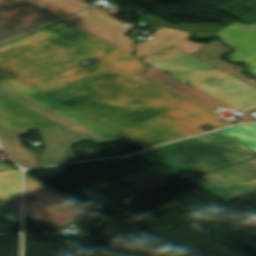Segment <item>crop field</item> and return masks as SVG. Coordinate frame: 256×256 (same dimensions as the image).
Here are the masks:
<instances>
[{"mask_svg":"<svg viewBox=\"0 0 256 256\" xmlns=\"http://www.w3.org/2000/svg\"><path fill=\"white\" fill-rule=\"evenodd\" d=\"M148 65L62 20L0 44L1 72L144 148L228 125L140 76Z\"/></svg>","mask_w":256,"mask_h":256,"instance_id":"crop-field-1","label":"crop field"},{"mask_svg":"<svg viewBox=\"0 0 256 256\" xmlns=\"http://www.w3.org/2000/svg\"><path fill=\"white\" fill-rule=\"evenodd\" d=\"M138 155L151 163L160 161L174 168L171 173L229 203L237 198L195 175L254 157V152L217 131Z\"/></svg>","mask_w":256,"mask_h":256,"instance_id":"crop-field-2","label":"crop field"},{"mask_svg":"<svg viewBox=\"0 0 256 256\" xmlns=\"http://www.w3.org/2000/svg\"><path fill=\"white\" fill-rule=\"evenodd\" d=\"M193 87L246 113L256 108V89L174 47L143 59Z\"/></svg>","mask_w":256,"mask_h":256,"instance_id":"crop-field-3","label":"crop field"},{"mask_svg":"<svg viewBox=\"0 0 256 256\" xmlns=\"http://www.w3.org/2000/svg\"><path fill=\"white\" fill-rule=\"evenodd\" d=\"M29 197L33 198L27 200ZM68 197V196H67ZM26 176L25 215L59 230L87 212L88 208Z\"/></svg>","mask_w":256,"mask_h":256,"instance_id":"crop-field-4","label":"crop field"},{"mask_svg":"<svg viewBox=\"0 0 256 256\" xmlns=\"http://www.w3.org/2000/svg\"><path fill=\"white\" fill-rule=\"evenodd\" d=\"M129 53H134L132 49L135 40L126 35L133 30L124 23L95 9L90 8L71 17L63 19Z\"/></svg>","mask_w":256,"mask_h":256,"instance_id":"crop-field-5","label":"crop field"},{"mask_svg":"<svg viewBox=\"0 0 256 256\" xmlns=\"http://www.w3.org/2000/svg\"><path fill=\"white\" fill-rule=\"evenodd\" d=\"M56 19L24 0H0V41Z\"/></svg>","mask_w":256,"mask_h":256,"instance_id":"crop-field-6","label":"crop field"},{"mask_svg":"<svg viewBox=\"0 0 256 256\" xmlns=\"http://www.w3.org/2000/svg\"><path fill=\"white\" fill-rule=\"evenodd\" d=\"M199 177L240 197L256 191V158Z\"/></svg>","mask_w":256,"mask_h":256,"instance_id":"crop-field-7","label":"crop field"},{"mask_svg":"<svg viewBox=\"0 0 256 256\" xmlns=\"http://www.w3.org/2000/svg\"><path fill=\"white\" fill-rule=\"evenodd\" d=\"M0 82L19 91L20 93L32 98L33 100L45 105L46 107L60 113L61 115L73 120L74 122L86 127L87 129L99 134L100 136L116 142L126 139L125 137L109 130L108 128L90 120L89 118L71 110L70 108L50 99L49 97L31 89L30 87L12 79L11 77L0 72Z\"/></svg>","mask_w":256,"mask_h":256,"instance_id":"crop-field-8","label":"crop field"},{"mask_svg":"<svg viewBox=\"0 0 256 256\" xmlns=\"http://www.w3.org/2000/svg\"><path fill=\"white\" fill-rule=\"evenodd\" d=\"M253 27L232 23L216 36L236 50L233 55L229 56L230 59L234 62H245L249 71L256 76V27Z\"/></svg>","mask_w":256,"mask_h":256,"instance_id":"crop-field-9","label":"crop field"},{"mask_svg":"<svg viewBox=\"0 0 256 256\" xmlns=\"http://www.w3.org/2000/svg\"><path fill=\"white\" fill-rule=\"evenodd\" d=\"M190 34L188 32L162 27L152 34L156 37L135 45V49L138 52L135 56L143 59L172 46L192 55L205 44L187 40L191 37Z\"/></svg>","mask_w":256,"mask_h":256,"instance_id":"crop-field-10","label":"crop field"},{"mask_svg":"<svg viewBox=\"0 0 256 256\" xmlns=\"http://www.w3.org/2000/svg\"><path fill=\"white\" fill-rule=\"evenodd\" d=\"M59 125L0 94V130Z\"/></svg>","mask_w":256,"mask_h":256,"instance_id":"crop-field-11","label":"crop field"},{"mask_svg":"<svg viewBox=\"0 0 256 256\" xmlns=\"http://www.w3.org/2000/svg\"><path fill=\"white\" fill-rule=\"evenodd\" d=\"M148 76L164 86L170 88L171 90L213 110L216 112L215 108L223 107L225 109L230 108L229 106L223 104L222 102L208 96L207 94L193 88L192 86L150 66L147 71L143 74Z\"/></svg>","mask_w":256,"mask_h":256,"instance_id":"crop-field-12","label":"crop field"},{"mask_svg":"<svg viewBox=\"0 0 256 256\" xmlns=\"http://www.w3.org/2000/svg\"><path fill=\"white\" fill-rule=\"evenodd\" d=\"M21 172L0 175V215L20 223Z\"/></svg>","mask_w":256,"mask_h":256,"instance_id":"crop-field-13","label":"crop field"},{"mask_svg":"<svg viewBox=\"0 0 256 256\" xmlns=\"http://www.w3.org/2000/svg\"><path fill=\"white\" fill-rule=\"evenodd\" d=\"M59 17L91 6L82 0H27ZM67 16V15H66Z\"/></svg>","mask_w":256,"mask_h":256,"instance_id":"crop-field-14","label":"crop field"},{"mask_svg":"<svg viewBox=\"0 0 256 256\" xmlns=\"http://www.w3.org/2000/svg\"><path fill=\"white\" fill-rule=\"evenodd\" d=\"M220 54V52L206 45L203 49H201L192 56L201 59L224 71L225 73L245 82L246 79L240 74V72L243 71L242 68L222 62L218 58Z\"/></svg>","mask_w":256,"mask_h":256,"instance_id":"crop-field-15","label":"crop field"},{"mask_svg":"<svg viewBox=\"0 0 256 256\" xmlns=\"http://www.w3.org/2000/svg\"><path fill=\"white\" fill-rule=\"evenodd\" d=\"M149 21L157 24H164L171 27L183 28L188 31H195V39H201L206 37H212L220 30H222L225 25H217V24H183V25H174L167 21L161 20L152 15H144Z\"/></svg>","mask_w":256,"mask_h":256,"instance_id":"crop-field-16","label":"crop field"},{"mask_svg":"<svg viewBox=\"0 0 256 256\" xmlns=\"http://www.w3.org/2000/svg\"><path fill=\"white\" fill-rule=\"evenodd\" d=\"M220 132L256 152V125H242Z\"/></svg>","mask_w":256,"mask_h":256,"instance_id":"crop-field-17","label":"crop field"},{"mask_svg":"<svg viewBox=\"0 0 256 256\" xmlns=\"http://www.w3.org/2000/svg\"><path fill=\"white\" fill-rule=\"evenodd\" d=\"M15 171V169L9 165L0 162V173Z\"/></svg>","mask_w":256,"mask_h":256,"instance_id":"crop-field-18","label":"crop field"},{"mask_svg":"<svg viewBox=\"0 0 256 256\" xmlns=\"http://www.w3.org/2000/svg\"><path fill=\"white\" fill-rule=\"evenodd\" d=\"M139 16H140V14L138 13V11H135ZM140 22H143V23H147V24H149V25H151V26H155V27H158L159 25H154V24H152V23H149V22H147L145 19H143L141 16H140V20H139Z\"/></svg>","mask_w":256,"mask_h":256,"instance_id":"crop-field-19","label":"crop field"},{"mask_svg":"<svg viewBox=\"0 0 256 256\" xmlns=\"http://www.w3.org/2000/svg\"><path fill=\"white\" fill-rule=\"evenodd\" d=\"M84 1L88 2V1H91V0H84Z\"/></svg>","mask_w":256,"mask_h":256,"instance_id":"crop-field-20","label":"crop field"},{"mask_svg":"<svg viewBox=\"0 0 256 256\" xmlns=\"http://www.w3.org/2000/svg\"><path fill=\"white\" fill-rule=\"evenodd\" d=\"M252 26L256 27V24H254V25H252Z\"/></svg>","mask_w":256,"mask_h":256,"instance_id":"crop-field-21","label":"crop field"}]
</instances>
